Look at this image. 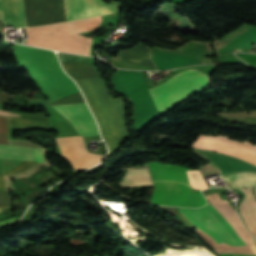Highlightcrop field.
<instances>
[{"label": "crop field", "instance_id": "crop-field-14", "mask_svg": "<svg viewBox=\"0 0 256 256\" xmlns=\"http://www.w3.org/2000/svg\"><path fill=\"white\" fill-rule=\"evenodd\" d=\"M119 185L126 188L153 185L148 164L128 168L126 174L120 179Z\"/></svg>", "mask_w": 256, "mask_h": 256}, {"label": "crop field", "instance_id": "crop-field-7", "mask_svg": "<svg viewBox=\"0 0 256 256\" xmlns=\"http://www.w3.org/2000/svg\"><path fill=\"white\" fill-rule=\"evenodd\" d=\"M180 212L192 225L209 234L217 243L246 245L212 205L199 209L180 208Z\"/></svg>", "mask_w": 256, "mask_h": 256}, {"label": "crop field", "instance_id": "crop-field-1", "mask_svg": "<svg viewBox=\"0 0 256 256\" xmlns=\"http://www.w3.org/2000/svg\"><path fill=\"white\" fill-rule=\"evenodd\" d=\"M27 25L72 21L117 12L119 2L102 0H24ZM23 0H0V20L6 19L26 27ZM101 21V16L72 22L26 28V44L57 51L89 55L92 38L75 33L89 31Z\"/></svg>", "mask_w": 256, "mask_h": 256}, {"label": "crop field", "instance_id": "crop-field-2", "mask_svg": "<svg viewBox=\"0 0 256 256\" xmlns=\"http://www.w3.org/2000/svg\"><path fill=\"white\" fill-rule=\"evenodd\" d=\"M75 81L99 123L109 152L113 151L130 136L125 126L122 99H111L101 77Z\"/></svg>", "mask_w": 256, "mask_h": 256}, {"label": "crop field", "instance_id": "crop-field-15", "mask_svg": "<svg viewBox=\"0 0 256 256\" xmlns=\"http://www.w3.org/2000/svg\"><path fill=\"white\" fill-rule=\"evenodd\" d=\"M65 71L73 78L99 77V73L93 64L61 63Z\"/></svg>", "mask_w": 256, "mask_h": 256}, {"label": "crop field", "instance_id": "crop-field-13", "mask_svg": "<svg viewBox=\"0 0 256 256\" xmlns=\"http://www.w3.org/2000/svg\"><path fill=\"white\" fill-rule=\"evenodd\" d=\"M252 190L253 187L241 189L245 193V197L239 208L247 228L256 239V200Z\"/></svg>", "mask_w": 256, "mask_h": 256}, {"label": "crop field", "instance_id": "crop-field-9", "mask_svg": "<svg viewBox=\"0 0 256 256\" xmlns=\"http://www.w3.org/2000/svg\"><path fill=\"white\" fill-rule=\"evenodd\" d=\"M197 149H211L243 159L256 165V145L247 141L241 143L222 136L200 135L191 145Z\"/></svg>", "mask_w": 256, "mask_h": 256}, {"label": "crop field", "instance_id": "crop-field-17", "mask_svg": "<svg viewBox=\"0 0 256 256\" xmlns=\"http://www.w3.org/2000/svg\"><path fill=\"white\" fill-rule=\"evenodd\" d=\"M9 125L13 127H30L49 130L48 121L40 119L9 118Z\"/></svg>", "mask_w": 256, "mask_h": 256}, {"label": "crop field", "instance_id": "crop-field-8", "mask_svg": "<svg viewBox=\"0 0 256 256\" xmlns=\"http://www.w3.org/2000/svg\"><path fill=\"white\" fill-rule=\"evenodd\" d=\"M206 197L210 201V204H212L217 211L233 226V228L248 246L234 247L228 246L225 243L217 244L205 233L199 231L198 229L197 232L214 248L217 253L256 254V244L254 243L251 235L243 226L234 208L228 204V201L221 200L218 193L207 195Z\"/></svg>", "mask_w": 256, "mask_h": 256}, {"label": "crop field", "instance_id": "crop-field-20", "mask_svg": "<svg viewBox=\"0 0 256 256\" xmlns=\"http://www.w3.org/2000/svg\"><path fill=\"white\" fill-rule=\"evenodd\" d=\"M61 62H85L89 63L90 57L76 56L65 53H57Z\"/></svg>", "mask_w": 256, "mask_h": 256}, {"label": "crop field", "instance_id": "crop-field-23", "mask_svg": "<svg viewBox=\"0 0 256 256\" xmlns=\"http://www.w3.org/2000/svg\"><path fill=\"white\" fill-rule=\"evenodd\" d=\"M11 97V95L3 92L0 94V104H4L9 98Z\"/></svg>", "mask_w": 256, "mask_h": 256}, {"label": "crop field", "instance_id": "crop-field-26", "mask_svg": "<svg viewBox=\"0 0 256 256\" xmlns=\"http://www.w3.org/2000/svg\"><path fill=\"white\" fill-rule=\"evenodd\" d=\"M232 256H256V255L233 254Z\"/></svg>", "mask_w": 256, "mask_h": 256}, {"label": "crop field", "instance_id": "crop-field-6", "mask_svg": "<svg viewBox=\"0 0 256 256\" xmlns=\"http://www.w3.org/2000/svg\"><path fill=\"white\" fill-rule=\"evenodd\" d=\"M206 87L207 75L198 70H187L148 91L161 115Z\"/></svg>", "mask_w": 256, "mask_h": 256}, {"label": "crop field", "instance_id": "crop-field-24", "mask_svg": "<svg viewBox=\"0 0 256 256\" xmlns=\"http://www.w3.org/2000/svg\"><path fill=\"white\" fill-rule=\"evenodd\" d=\"M19 219H20L19 217H15V218L8 219L6 221H2V222H0V226L17 222Z\"/></svg>", "mask_w": 256, "mask_h": 256}, {"label": "crop field", "instance_id": "crop-field-5", "mask_svg": "<svg viewBox=\"0 0 256 256\" xmlns=\"http://www.w3.org/2000/svg\"><path fill=\"white\" fill-rule=\"evenodd\" d=\"M18 47L54 100L79 92L73 80L63 72L54 52L23 45Z\"/></svg>", "mask_w": 256, "mask_h": 256}, {"label": "crop field", "instance_id": "crop-field-22", "mask_svg": "<svg viewBox=\"0 0 256 256\" xmlns=\"http://www.w3.org/2000/svg\"><path fill=\"white\" fill-rule=\"evenodd\" d=\"M11 200L12 198L9 196L7 192H0V207H8Z\"/></svg>", "mask_w": 256, "mask_h": 256}, {"label": "crop field", "instance_id": "crop-field-21", "mask_svg": "<svg viewBox=\"0 0 256 256\" xmlns=\"http://www.w3.org/2000/svg\"><path fill=\"white\" fill-rule=\"evenodd\" d=\"M50 188V186H47L43 189H40L36 192H33L31 194H29L26 197V203L28 206H30L33 202H35L37 199H39L42 195H44L46 193V191Z\"/></svg>", "mask_w": 256, "mask_h": 256}, {"label": "crop field", "instance_id": "crop-field-25", "mask_svg": "<svg viewBox=\"0 0 256 256\" xmlns=\"http://www.w3.org/2000/svg\"><path fill=\"white\" fill-rule=\"evenodd\" d=\"M0 115H1V116H14V117H20V115H16V114H14V113L5 112V111H0Z\"/></svg>", "mask_w": 256, "mask_h": 256}, {"label": "crop field", "instance_id": "crop-field-16", "mask_svg": "<svg viewBox=\"0 0 256 256\" xmlns=\"http://www.w3.org/2000/svg\"><path fill=\"white\" fill-rule=\"evenodd\" d=\"M224 179L237 189L255 186L254 193L256 195V172H240L224 177Z\"/></svg>", "mask_w": 256, "mask_h": 256}, {"label": "crop field", "instance_id": "crop-field-3", "mask_svg": "<svg viewBox=\"0 0 256 256\" xmlns=\"http://www.w3.org/2000/svg\"><path fill=\"white\" fill-rule=\"evenodd\" d=\"M7 142V118L0 117V144L7 145ZM8 145L36 148V158L38 163L9 160L18 159L37 162L35 158V149L0 145V158H9L0 159V175H4L16 162L17 163L5 175L23 172L35 164L23 173L4 176L5 191L15 190L11 179L29 177L35 171L49 166V163L46 161L45 157H43V153L46 149L32 142L11 139H9ZM0 191H4L3 176H0Z\"/></svg>", "mask_w": 256, "mask_h": 256}, {"label": "crop field", "instance_id": "crop-field-12", "mask_svg": "<svg viewBox=\"0 0 256 256\" xmlns=\"http://www.w3.org/2000/svg\"><path fill=\"white\" fill-rule=\"evenodd\" d=\"M200 153L205 155L207 158H209L211 161H213L221 170H222V176L243 171V170H255L256 167L246 163L244 161H241L237 158L224 156L208 151H202L198 150Z\"/></svg>", "mask_w": 256, "mask_h": 256}, {"label": "crop field", "instance_id": "crop-field-18", "mask_svg": "<svg viewBox=\"0 0 256 256\" xmlns=\"http://www.w3.org/2000/svg\"><path fill=\"white\" fill-rule=\"evenodd\" d=\"M188 179L191 183V186L197 189L208 188L205 184L199 170L197 171H187Z\"/></svg>", "mask_w": 256, "mask_h": 256}, {"label": "crop field", "instance_id": "crop-field-4", "mask_svg": "<svg viewBox=\"0 0 256 256\" xmlns=\"http://www.w3.org/2000/svg\"><path fill=\"white\" fill-rule=\"evenodd\" d=\"M155 188L151 204L199 207L207 202L199 192L193 193L184 166L149 163Z\"/></svg>", "mask_w": 256, "mask_h": 256}, {"label": "crop field", "instance_id": "crop-field-10", "mask_svg": "<svg viewBox=\"0 0 256 256\" xmlns=\"http://www.w3.org/2000/svg\"><path fill=\"white\" fill-rule=\"evenodd\" d=\"M60 151L74 166L75 170L91 168L104 159L103 156L89 153L81 136L57 139Z\"/></svg>", "mask_w": 256, "mask_h": 256}, {"label": "crop field", "instance_id": "crop-field-11", "mask_svg": "<svg viewBox=\"0 0 256 256\" xmlns=\"http://www.w3.org/2000/svg\"><path fill=\"white\" fill-rule=\"evenodd\" d=\"M61 112L74 126L79 134L98 135V127L86 103L54 107Z\"/></svg>", "mask_w": 256, "mask_h": 256}, {"label": "crop field", "instance_id": "crop-field-19", "mask_svg": "<svg viewBox=\"0 0 256 256\" xmlns=\"http://www.w3.org/2000/svg\"><path fill=\"white\" fill-rule=\"evenodd\" d=\"M79 102H85L81 92L76 93L71 96H68V97H65V98H62L60 100L54 101V102L50 103L49 106L69 104V103H79Z\"/></svg>", "mask_w": 256, "mask_h": 256}]
</instances>
